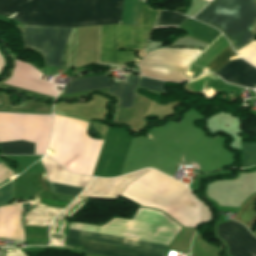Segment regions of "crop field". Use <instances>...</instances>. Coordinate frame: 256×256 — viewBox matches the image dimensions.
<instances>
[{"label":"crop field","mask_w":256,"mask_h":256,"mask_svg":"<svg viewBox=\"0 0 256 256\" xmlns=\"http://www.w3.org/2000/svg\"><path fill=\"white\" fill-rule=\"evenodd\" d=\"M180 29L187 32V36L210 44L220 35V32L195 20L189 19Z\"/></svg>","instance_id":"4a817a6b"},{"label":"crop field","mask_w":256,"mask_h":256,"mask_svg":"<svg viewBox=\"0 0 256 256\" xmlns=\"http://www.w3.org/2000/svg\"><path fill=\"white\" fill-rule=\"evenodd\" d=\"M15 67L9 79L3 83L32 90L56 97L59 93L56 85L41 80L42 75L30 66H26L14 59Z\"/></svg>","instance_id":"d1516ede"},{"label":"crop field","mask_w":256,"mask_h":256,"mask_svg":"<svg viewBox=\"0 0 256 256\" xmlns=\"http://www.w3.org/2000/svg\"><path fill=\"white\" fill-rule=\"evenodd\" d=\"M151 100L141 94H136L129 109L117 108L113 121L115 124L130 125L135 132L138 124L143 118ZM148 111V110H147Z\"/></svg>","instance_id":"5142ce71"},{"label":"crop field","mask_w":256,"mask_h":256,"mask_svg":"<svg viewBox=\"0 0 256 256\" xmlns=\"http://www.w3.org/2000/svg\"><path fill=\"white\" fill-rule=\"evenodd\" d=\"M194 18L220 29L236 51L252 41L256 0H212Z\"/></svg>","instance_id":"412701ff"},{"label":"crop field","mask_w":256,"mask_h":256,"mask_svg":"<svg viewBox=\"0 0 256 256\" xmlns=\"http://www.w3.org/2000/svg\"><path fill=\"white\" fill-rule=\"evenodd\" d=\"M50 125V116L0 113V142L24 139L35 143V154H44Z\"/></svg>","instance_id":"e52e79f7"},{"label":"crop field","mask_w":256,"mask_h":256,"mask_svg":"<svg viewBox=\"0 0 256 256\" xmlns=\"http://www.w3.org/2000/svg\"><path fill=\"white\" fill-rule=\"evenodd\" d=\"M51 192L61 193V194H68L76 197L83 189L75 188L67 185L55 184L50 183Z\"/></svg>","instance_id":"ae1a2a85"},{"label":"crop field","mask_w":256,"mask_h":256,"mask_svg":"<svg viewBox=\"0 0 256 256\" xmlns=\"http://www.w3.org/2000/svg\"><path fill=\"white\" fill-rule=\"evenodd\" d=\"M70 29L24 25L25 45L42 52L47 59V66H62L63 46Z\"/></svg>","instance_id":"5a996713"},{"label":"crop field","mask_w":256,"mask_h":256,"mask_svg":"<svg viewBox=\"0 0 256 256\" xmlns=\"http://www.w3.org/2000/svg\"><path fill=\"white\" fill-rule=\"evenodd\" d=\"M256 194L244 203L235 220L243 223L248 229L256 222Z\"/></svg>","instance_id":"92a150f3"},{"label":"crop field","mask_w":256,"mask_h":256,"mask_svg":"<svg viewBox=\"0 0 256 256\" xmlns=\"http://www.w3.org/2000/svg\"><path fill=\"white\" fill-rule=\"evenodd\" d=\"M177 182L152 169L129 183L121 195L141 206L161 209L184 226L196 227V199L186 186Z\"/></svg>","instance_id":"ac0d7876"},{"label":"crop field","mask_w":256,"mask_h":256,"mask_svg":"<svg viewBox=\"0 0 256 256\" xmlns=\"http://www.w3.org/2000/svg\"><path fill=\"white\" fill-rule=\"evenodd\" d=\"M235 56L230 46L223 51L213 62H211L206 68L216 72L218 69H220L222 66H224L226 63H228L227 59L228 57Z\"/></svg>","instance_id":"eef30255"},{"label":"crop field","mask_w":256,"mask_h":256,"mask_svg":"<svg viewBox=\"0 0 256 256\" xmlns=\"http://www.w3.org/2000/svg\"><path fill=\"white\" fill-rule=\"evenodd\" d=\"M0 88H3V89L12 88L13 90H15L17 92L23 93V94L28 95V96L53 100V97L45 96V95H42V94L34 93V92H31V91L23 90V89H20V88L12 87V86L1 84V83H0Z\"/></svg>","instance_id":"bd1437ed"},{"label":"crop field","mask_w":256,"mask_h":256,"mask_svg":"<svg viewBox=\"0 0 256 256\" xmlns=\"http://www.w3.org/2000/svg\"><path fill=\"white\" fill-rule=\"evenodd\" d=\"M89 123L54 115L48 146L57 163L76 174L92 175L102 142L87 136Z\"/></svg>","instance_id":"34b2d1b8"},{"label":"crop field","mask_w":256,"mask_h":256,"mask_svg":"<svg viewBox=\"0 0 256 256\" xmlns=\"http://www.w3.org/2000/svg\"><path fill=\"white\" fill-rule=\"evenodd\" d=\"M100 74H103V73H100ZM92 75H97V74H92ZM85 76H91V75H85ZM85 76H80V77H85Z\"/></svg>","instance_id":"d32e631a"},{"label":"crop field","mask_w":256,"mask_h":256,"mask_svg":"<svg viewBox=\"0 0 256 256\" xmlns=\"http://www.w3.org/2000/svg\"><path fill=\"white\" fill-rule=\"evenodd\" d=\"M140 0H124L122 23L136 25Z\"/></svg>","instance_id":"a9b5d70f"},{"label":"crop field","mask_w":256,"mask_h":256,"mask_svg":"<svg viewBox=\"0 0 256 256\" xmlns=\"http://www.w3.org/2000/svg\"><path fill=\"white\" fill-rule=\"evenodd\" d=\"M97 44L98 26L73 28L65 53L67 68L97 63Z\"/></svg>","instance_id":"3316defc"},{"label":"crop field","mask_w":256,"mask_h":256,"mask_svg":"<svg viewBox=\"0 0 256 256\" xmlns=\"http://www.w3.org/2000/svg\"><path fill=\"white\" fill-rule=\"evenodd\" d=\"M236 52L256 67V40Z\"/></svg>","instance_id":"730fd06b"},{"label":"crop field","mask_w":256,"mask_h":256,"mask_svg":"<svg viewBox=\"0 0 256 256\" xmlns=\"http://www.w3.org/2000/svg\"><path fill=\"white\" fill-rule=\"evenodd\" d=\"M199 202H200V212H201V220H200V223H201L209 220L211 212L205 204H203L201 201Z\"/></svg>","instance_id":"120bbe31"},{"label":"crop field","mask_w":256,"mask_h":256,"mask_svg":"<svg viewBox=\"0 0 256 256\" xmlns=\"http://www.w3.org/2000/svg\"><path fill=\"white\" fill-rule=\"evenodd\" d=\"M164 83L165 82L141 77L138 86L164 92V89H163Z\"/></svg>","instance_id":"750c4746"},{"label":"crop field","mask_w":256,"mask_h":256,"mask_svg":"<svg viewBox=\"0 0 256 256\" xmlns=\"http://www.w3.org/2000/svg\"><path fill=\"white\" fill-rule=\"evenodd\" d=\"M0 237L12 240L23 239L19 204L0 206Z\"/></svg>","instance_id":"cbeb9de0"},{"label":"crop field","mask_w":256,"mask_h":256,"mask_svg":"<svg viewBox=\"0 0 256 256\" xmlns=\"http://www.w3.org/2000/svg\"><path fill=\"white\" fill-rule=\"evenodd\" d=\"M3 106L0 107V112H13V113H33V114H50L52 105L41 102L26 100L25 105L21 104L17 107L9 103L8 95L0 93Z\"/></svg>","instance_id":"733c2abd"},{"label":"crop field","mask_w":256,"mask_h":256,"mask_svg":"<svg viewBox=\"0 0 256 256\" xmlns=\"http://www.w3.org/2000/svg\"><path fill=\"white\" fill-rule=\"evenodd\" d=\"M49 159L44 156L41 158V163L45 168L48 180L51 182L85 188L93 179L92 177L70 174L64 168Z\"/></svg>","instance_id":"d9b57169"},{"label":"crop field","mask_w":256,"mask_h":256,"mask_svg":"<svg viewBox=\"0 0 256 256\" xmlns=\"http://www.w3.org/2000/svg\"><path fill=\"white\" fill-rule=\"evenodd\" d=\"M217 236L226 242L231 256H256V239L242 225L233 221L218 225Z\"/></svg>","instance_id":"28ad6ade"},{"label":"crop field","mask_w":256,"mask_h":256,"mask_svg":"<svg viewBox=\"0 0 256 256\" xmlns=\"http://www.w3.org/2000/svg\"><path fill=\"white\" fill-rule=\"evenodd\" d=\"M6 181H4L3 183H5ZM13 185H14V179L8 184L0 187V204L8 203L13 198V195H14Z\"/></svg>","instance_id":"d3111659"},{"label":"crop field","mask_w":256,"mask_h":256,"mask_svg":"<svg viewBox=\"0 0 256 256\" xmlns=\"http://www.w3.org/2000/svg\"><path fill=\"white\" fill-rule=\"evenodd\" d=\"M87 256H89V255H87Z\"/></svg>","instance_id":"5866460e"},{"label":"crop field","mask_w":256,"mask_h":256,"mask_svg":"<svg viewBox=\"0 0 256 256\" xmlns=\"http://www.w3.org/2000/svg\"><path fill=\"white\" fill-rule=\"evenodd\" d=\"M1 154H34V144L23 140L0 143Z\"/></svg>","instance_id":"dafd665d"},{"label":"crop field","mask_w":256,"mask_h":256,"mask_svg":"<svg viewBox=\"0 0 256 256\" xmlns=\"http://www.w3.org/2000/svg\"><path fill=\"white\" fill-rule=\"evenodd\" d=\"M94 91H100L104 94H108V91H109V88L108 89H102V90H94ZM94 91H87V92H80V93H72V94H65V95H58L57 99H62V98H66L68 100H73V99H77L79 97H83V96H86L87 94L91 93V92H94Z\"/></svg>","instance_id":"1d83c4d3"},{"label":"crop field","mask_w":256,"mask_h":256,"mask_svg":"<svg viewBox=\"0 0 256 256\" xmlns=\"http://www.w3.org/2000/svg\"><path fill=\"white\" fill-rule=\"evenodd\" d=\"M123 0H0V15L23 24L78 27L120 23Z\"/></svg>","instance_id":"8a807250"},{"label":"crop field","mask_w":256,"mask_h":256,"mask_svg":"<svg viewBox=\"0 0 256 256\" xmlns=\"http://www.w3.org/2000/svg\"><path fill=\"white\" fill-rule=\"evenodd\" d=\"M138 79L139 77L129 74L126 82L114 83L111 86L109 93L119 98L120 103L118 107L129 108L135 95L134 90Z\"/></svg>","instance_id":"bc2a9ffb"},{"label":"crop field","mask_w":256,"mask_h":256,"mask_svg":"<svg viewBox=\"0 0 256 256\" xmlns=\"http://www.w3.org/2000/svg\"><path fill=\"white\" fill-rule=\"evenodd\" d=\"M243 147V168L256 165V144L242 143Z\"/></svg>","instance_id":"4177f3b9"},{"label":"crop field","mask_w":256,"mask_h":256,"mask_svg":"<svg viewBox=\"0 0 256 256\" xmlns=\"http://www.w3.org/2000/svg\"><path fill=\"white\" fill-rule=\"evenodd\" d=\"M215 74L231 84L247 88L256 87V69L241 58L229 62Z\"/></svg>","instance_id":"22f410ed"},{"label":"crop field","mask_w":256,"mask_h":256,"mask_svg":"<svg viewBox=\"0 0 256 256\" xmlns=\"http://www.w3.org/2000/svg\"><path fill=\"white\" fill-rule=\"evenodd\" d=\"M202 50L167 49L153 50L137 64L140 74L169 81L181 80L178 74L187 72V64Z\"/></svg>","instance_id":"d8731c3e"},{"label":"crop field","mask_w":256,"mask_h":256,"mask_svg":"<svg viewBox=\"0 0 256 256\" xmlns=\"http://www.w3.org/2000/svg\"><path fill=\"white\" fill-rule=\"evenodd\" d=\"M0 105H1V103H0Z\"/></svg>","instance_id":"028f5c9d"},{"label":"crop field","mask_w":256,"mask_h":256,"mask_svg":"<svg viewBox=\"0 0 256 256\" xmlns=\"http://www.w3.org/2000/svg\"><path fill=\"white\" fill-rule=\"evenodd\" d=\"M68 237L87 241L99 242L104 244L116 245L132 249L144 250L149 252L161 253L168 245L118 237L113 235L77 230L69 228ZM68 238L67 243L82 245L86 252L105 255V256H162L161 254L149 253L144 251L132 250L127 248L115 247L99 243L87 242Z\"/></svg>","instance_id":"dd49c442"},{"label":"crop field","mask_w":256,"mask_h":256,"mask_svg":"<svg viewBox=\"0 0 256 256\" xmlns=\"http://www.w3.org/2000/svg\"><path fill=\"white\" fill-rule=\"evenodd\" d=\"M186 19L188 18L175 12L160 11L154 28L179 26Z\"/></svg>","instance_id":"00972430"},{"label":"crop field","mask_w":256,"mask_h":256,"mask_svg":"<svg viewBox=\"0 0 256 256\" xmlns=\"http://www.w3.org/2000/svg\"><path fill=\"white\" fill-rule=\"evenodd\" d=\"M113 83L106 74L75 79L63 93H72L110 87Z\"/></svg>","instance_id":"214f88e0"},{"label":"crop field","mask_w":256,"mask_h":256,"mask_svg":"<svg viewBox=\"0 0 256 256\" xmlns=\"http://www.w3.org/2000/svg\"><path fill=\"white\" fill-rule=\"evenodd\" d=\"M156 11L140 3L137 26L116 24L101 26L100 62L128 63L133 60V52L118 49L142 50L150 31Z\"/></svg>","instance_id":"f4fd0767"}]
</instances>
